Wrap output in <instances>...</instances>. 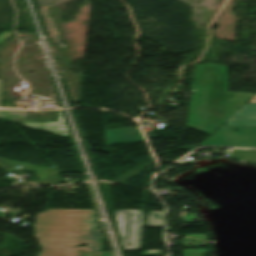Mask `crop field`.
I'll return each instance as SVG.
<instances>
[{"instance_id": "obj_11", "label": "crop field", "mask_w": 256, "mask_h": 256, "mask_svg": "<svg viewBox=\"0 0 256 256\" xmlns=\"http://www.w3.org/2000/svg\"><path fill=\"white\" fill-rule=\"evenodd\" d=\"M81 256H100V252H82Z\"/></svg>"}, {"instance_id": "obj_2", "label": "crop field", "mask_w": 256, "mask_h": 256, "mask_svg": "<svg viewBox=\"0 0 256 256\" xmlns=\"http://www.w3.org/2000/svg\"><path fill=\"white\" fill-rule=\"evenodd\" d=\"M253 95L227 92L226 66L198 64L187 127L211 134Z\"/></svg>"}, {"instance_id": "obj_9", "label": "crop field", "mask_w": 256, "mask_h": 256, "mask_svg": "<svg viewBox=\"0 0 256 256\" xmlns=\"http://www.w3.org/2000/svg\"><path fill=\"white\" fill-rule=\"evenodd\" d=\"M27 116V111L17 112V111H0V117H13V118H25Z\"/></svg>"}, {"instance_id": "obj_6", "label": "crop field", "mask_w": 256, "mask_h": 256, "mask_svg": "<svg viewBox=\"0 0 256 256\" xmlns=\"http://www.w3.org/2000/svg\"><path fill=\"white\" fill-rule=\"evenodd\" d=\"M6 119L14 120V121H22L23 126L39 129L42 131H46V132H50V133H54L62 136H68V130L66 128V125L64 123V120L60 111H58L56 122L47 121L46 123H28V122H24V120L22 119H13V118H6Z\"/></svg>"}, {"instance_id": "obj_4", "label": "crop field", "mask_w": 256, "mask_h": 256, "mask_svg": "<svg viewBox=\"0 0 256 256\" xmlns=\"http://www.w3.org/2000/svg\"><path fill=\"white\" fill-rule=\"evenodd\" d=\"M233 129L239 130L233 132ZM200 145H219L256 148V126H220Z\"/></svg>"}, {"instance_id": "obj_1", "label": "crop field", "mask_w": 256, "mask_h": 256, "mask_svg": "<svg viewBox=\"0 0 256 256\" xmlns=\"http://www.w3.org/2000/svg\"><path fill=\"white\" fill-rule=\"evenodd\" d=\"M34 236L42 246L39 256H80L81 251H100L103 237L94 210L69 209H46L37 214Z\"/></svg>"}, {"instance_id": "obj_5", "label": "crop field", "mask_w": 256, "mask_h": 256, "mask_svg": "<svg viewBox=\"0 0 256 256\" xmlns=\"http://www.w3.org/2000/svg\"><path fill=\"white\" fill-rule=\"evenodd\" d=\"M107 145L145 141L139 127L105 131Z\"/></svg>"}, {"instance_id": "obj_12", "label": "crop field", "mask_w": 256, "mask_h": 256, "mask_svg": "<svg viewBox=\"0 0 256 256\" xmlns=\"http://www.w3.org/2000/svg\"><path fill=\"white\" fill-rule=\"evenodd\" d=\"M101 256H113L110 252H102Z\"/></svg>"}, {"instance_id": "obj_3", "label": "crop field", "mask_w": 256, "mask_h": 256, "mask_svg": "<svg viewBox=\"0 0 256 256\" xmlns=\"http://www.w3.org/2000/svg\"><path fill=\"white\" fill-rule=\"evenodd\" d=\"M115 227L124 250L138 251L142 211L113 210ZM145 227H162L161 212L150 211ZM130 243L132 246L126 247Z\"/></svg>"}, {"instance_id": "obj_7", "label": "crop field", "mask_w": 256, "mask_h": 256, "mask_svg": "<svg viewBox=\"0 0 256 256\" xmlns=\"http://www.w3.org/2000/svg\"><path fill=\"white\" fill-rule=\"evenodd\" d=\"M232 117H235V119H231ZM232 117L225 125H256V100H251Z\"/></svg>"}, {"instance_id": "obj_10", "label": "crop field", "mask_w": 256, "mask_h": 256, "mask_svg": "<svg viewBox=\"0 0 256 256\" xmlns=\"http://www.w3.org/2000/svg\"><path fill=\"white\" fill-rule=\"evenodd\" d=\"M13 32L4 31L0 34V42H2L4 39H6L8 36H10ZM0 108H12V107H0Z\"/></svg>"}, {"instance_id": "obj_8", "label": "crop field", "mask_w": 256, "mask_h": 256, "mask_svg": "<svg viewBox=\"0 0 256 256\" xmlns=\"http://www.w3.org/2000/svg\"><path fill=\"white\" fill-rule=\"evenodd\" d=\"M51 1L52 0H39V3L41 5L45 20L47 22V25H48V28L50 30V33H51L52 37L54 38L57 46L59 48H63L64 45L62 43H58V41L60 40L59 37H58V31H57L55 25L53 24L52 20L50 19L49 15H48V13L45 9V7H50Z\"/></svg>"}]
</instances>
